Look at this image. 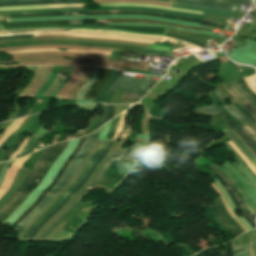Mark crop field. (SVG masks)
<instances>
[{"mask_svg":"<svg viewBox=\"0 0 256 256\" xmlns=\"http://www.w3.org/2000/svg\"><path fill=\"white\" fill-rule=\"evenodd\" d=\"M101 128L97 132L94 140L92 133L89 135L87 141L83 145V147L80 149L77 156L74 158V160L70 163L68 169L66 170L65 174L61 178V180L55 185V187L49 192V194L40 202V204L23 220L21 221L15 229L22 231L23 228L32 221L47 205L51 203L55 195L69 182V180L72 178L80 164L82 163L83 159L85 158L86 154L92 149V147L95 145L97 137L99 135Z\"/></svg>","mask_w":256,"mask_h":256,"instance_id":"crop-field-1","label":"crop field"},{"mask_svg":"<svg viewBox=\"0 0 256 256\" xmlns=\"http://www.w3.org/2000/svg\"><path fill=\"white\" fill-rule=\"evenodd\" d=\"M68 142V141H67ZM65 143H59L49 152L44 161L41 163L37 171L35 172L32 180L19 194V196L0 214V221L4 222L5 219L27 198V196L34 190V188L43 179L50 165L56 160L60 153L66 147Z\"/></svg>","mask_w":256,"mask_h":256,"instance_id":"crop-field-2","label":"crop field"},{"mask_svg":"<svg viewBox=\"0 0 256 256\" xmlns=\"http://www.w3.org/2000/svg\"><path fill=\"white\" fill-rule=\"evenodd\" d=\"M102 14H142V15H151V16H158L176 20H183L189 22H196L200 23V25L217 27V28H225L226 24L217 23V22H210L198 19H191V18H184V17H177V16H169V15H162V14H155V13H147V12H131V11H107V12H75V13H47V14H17V15H3L0 16V23L10 22L9 18H20V17H33V16H58V15H102Z\"/></svg>","mask_w":256,"mask_h":256,"instance_id":"crop-field-3","label":"crop field"},{"mask_svg":"<svg viewBox=\"0 0 256 256\" xmlns=\"http://www.w3.org/2000/svg\"><path fill=\"white\" fill-rule=\"evenodd\" d=\"M130 132H124L122 139L115 151V153L111 156V158L108 160L104 168L101 170V172L98 174L96 179L87 187V189L43 232V234L39 238H44L65 216L66 214L72 210L75 205L85 197V195L92 189L94 188L99 181L101 180L102 176L104 173L107 171V169L110 167V165L113 163L114 160L120 161L128 152V150L121 149L125 140L129 136Z\"/></svg>","mask_w":256,"mask_h":256,"instance_id":"crop-field-4","label":"crop field"},{"mask_svg":"<svg viewBox=\"0 0 256 256\" xmlns=\"http://www.w3.org/2000/svg\"><path fill=\"white\" fill-rule=\"evenodd\" d=\"M119 119H120V115H118L116 118H114V125L112 127V129L109 131L105 142H102L101 146L98 148V150L94 153V155L92 156V158L90 159V161L88 162V164L86 165V167L84 168V170L82 171V173L79 175V177L75 180V182L65 191V193L59 198V200L52 206V208L46 213L44 214L35 224H33L29 230L24 234L23 238H27L28 235L31 233V231L41 222L43 221L57 206L58 204L68 195V193L79 183V181L82 179V177L85 175V173L88 171V169L90 168V166L93 164V162L96 160V158L98 157V155L101 153V151L105 148L108 140H112L113 135L119 125Z\"/></svg>","mask_w":256,"mask_h":256,"instance_id":"crop-field-5","label":"crop field"},{"mask_svg":"<svg viewBox=\"0 0 256 256\" xmlns=\"http://www.w3.org/2000/svg\"><path fill=\"white\" fill-rule=\"evenodd\" d=\"M113 141H109L106 148L103 150V152L99 155L95 163L92 165V167L89 169V171L86 173L84 178L81 180V182L69 193V195L60 203V205L42 222L40 223L31 233L29 238H33L34 235L38 232V230L56 213L58 212L71 198L72 196L79 190V188L84 185V183L87 181V179L90 177L96 166L99 164V162L104 158L107 151L110 149Z\"/></svg>","mask_w":256,"mask_h":256,"instance_id":"crop-field-6","label":"crop field"},{"mask_svg":"<svg viewBox=\"0 0 256 256\" xmlns=\"http://www.w3.org/2000/svg\"><path fill=\"white\" fill-rule=\"evenodd\" d=\"M213 167L220 169L222 172L226 173V175L228 176V178L231 180V182L234 184V186L236 187V189L240 192L242 199L244 200L247 208L249 209V211L253 214V216H255L256 213V204L253 201V199L251 198L250 194L248 193V191L245 189V187L242 185V183L239 181V179L236 177V175L233 173V171L224 166L223 168H219L213 164H211Z\"/></svg>","mask_w":256,"mask_h":256,"instance_id":"crop-field-7","label":"crop field"},{"mask_svg":"<svg viewBox=\"0 0 256 256\" xmlns=\"http://www.w3.org/2000/svg\"><path fill=\"white\" fill-rule=\"evenodd\" d=\"M85 140V137L81 138L78 145L76 146V148L73 150V152L71 153V155L69 156V158L67 159V161L64 163V165L61 167V169L59 170V172L57 173V175L55 176V178L53 179V181L51 182V184L49 185V187L44 190L42 192V194L39 196V198L36 200L35 204L30 207L27 211H25L19 218L18 220L12 225V227H14L15 225H17V223L19 221H21L25 216H27L31 211L32 209L44 198V196L48 193V191L52 188V186L54 184L57 183L58 179L60 178V176L62 175V173L65 171L66 167L68 166L69 162L71 161L72 157L76 154L77 150L81 147V145L83 144Z\"/></svg>","mask_w":256,"mask_h":256,"instance_id":"crop-field-8","label":"crop field"},{"mask_svg":"<svg viewBox=\"0 0 256 256\" xmlns=\"http://www.w3.org/2000/svg\"><path fill=\"white\" fill-rule=\"evenodd\" d=\"M44 36H63V37H85V38H98V39H109V40H119L128 42H138L152 44L155 41L132 39L118 36H107V35H94V34H81V33H63V34H35L34 37H44Z\"/></svg>","mask_w":256,"mask_h":256,"instance_id":"crop-field-9","label":"crop field"},{"mask_svg":"<svg viewBox=\"0 0 256 256\" xmlns=\"http://www.w3.org/2000/svg\"><path fill=\"white\" fill-rule=\"evenodd\" d=\"M120 74H121V71L113 70L109 80L102 87V89L99 91L98 95L94 99V104H110L111 101H109V99L114 91L109 89L112 86V84L115 82V80L120 76Z\"/></svg>","mask_w":256,"mask_h":256,"instance_id":"crop-field-10","label":"crop field"},{"mask_svg":"<svg viewBox=\"0 0 256 256\" xmlns=\"http://www.w3.org/2000/svg\"><path fill=\"white\" fill-rule=\"evenodd\" d=\"M28 157H29V155L22 159L14 161V163L8 168L6 176L4 178V181L0 187V198L10 188L11 183H12L18 169L23 165V163L26 161V159Z\"/></svg>","mask_w":256,"mask_h":256,"instance_id":"crop-field-11","label":"crop field"},{"mask_svg":"<svg viewBox=\"0 0 256 256\" xmlns=\"http://www.w3.org/2000/svg\"><path fill=\"white\" fill-rule=\"evenodd\" d=\"M222 115L225 116L230 129L240 137V139L247 146V148L256 156V144L243 132V130L234 121L228 119L227 115H225L224 113L213 116L212 118L214 119Z\"/></svg>","mask_w":256,"mask_h":256,"instance_id":"crop-field-12","label":"crop field"},{"mask_svg":"<svg viewBox=\"0 0 256 256\" xmlns=\"http://www.w3.org/2000/svg\"><path fill=\"white\" fill-rule=\"evenodd\" d=\"M112 70L102 68L97 81L89 88L83 100L93 99L104 83L108 80Z\"/></svg>","mask_w":256,"mask_h":256,"instance_id":"crop-field-13","label":"crop field"},{"mask_svg":"<svg viewBox=\"0 0 256 256\" xmlns=\"http://www.w3.org/2000/svg\"><path fill=\"white\" fill-rule=\"evenodd\" d=\"M215 93L218 95V97L224 102V98L221 96V94L217 91V89L215 88ZM225 103V102H224ZM224 108H226L229 112H231L233 115H235L238 120L243 123L246 128L250 131V133L256 138V127L254 126V124L246 117L244 116L238 109H236L233 105L229 106L230 108H232L233 110H231L230 108H228L227 106H223Z\"/></svg>","mask_w":256,"mask_h":256,"instance_id":"crop-field-14","label":"crop field"},{"mask_svg":"<svg viewBox=\"0 0 256 256\" xmlns=\"http://www.w3.org/2000/svg\"><path fill=\"white\" fill-rule=\"evenodd\" d=\"M101 23H142V24H158V25L176 26V27L186 28V29H195V30L210 31V30H208V29L187 27V26L174 25V24H168V23H161V22H155V21H151V20L113 19V20L96 21L95 24H101Z\"/></svg>","mask_w":256,"mask_h":256,"instance_id":"crop-field-15","label":"crop field"},{"mask_svg":"<svg viewBox=\"0 0 256 256\" xmlns=\"http://www.w3.org/2000/svg\"><path fill=\"white\" fill-rule=\"evenodd\" d=\"M53 146H50L47 148V150L43 153V155L40 157V159L38 160L36 166L32 169V171L28 174V176L26 177L25 181L23 182V184L18 188L17 192L15 194H13L9 200L0 208V213L16 198V196L19 194L20 191L23 190V188L27 185V183L30 181L31 176L33 175V173L35 172V170L38 168V166L40 165V163L42 162V160L45 158V156L47 155V153L49 152V150L52 148Z\"/></svg>","mask_w":256,"mask_h":256,"instance_id":"crop-field-16","label":"crop field"},{"mask_svg":"<svg viewBox=\"0 0 256 256\" xmlns=\"http://www.w3.org/2000/svg\"><path fill=\"white\" fill-rule=\"evenodd\" d=\"M38 52H62L57 49H37V50H26V51H9L7 54H22V53H38ZM69 53H90V54H102L109 55L110 52L104 51H91V50H67Z\"/></svg>","mask_w":256,"mask_h":256,"instance_id":"crop-field-17","label":"crop field"},{"mask_svg":"<svg viewBox=\"0 0 256 256\" xmlns=\"http://www.w3.org/2000/svg\"><path fill=\"white\" fill-rule=\"evenodd\" d=\"M115 83L123 84V85L142 86V87L149 88L153 83H155V81L140 79V78L120 76Z\"/></svg>","mask_w":256,"mask_h":256,"instance_id":"crop-field-18","label":"crop field"},{"mask_svg":"<svg viewBox=\"0 0 256 256\" xmlns=\"http://www.w3.org/2000/svg\"><path fill=\"white\" fill-rule=\"evenodd\" d=\"M44 125L45 124H42L39 127V129L34 133L33 137L31 136L32 138L30 139V141L28 142L26 148L23 150V152L21 153L20 156H23V155L33 151L34 148L37 146L38 142L40 141V139L48 132L47 130L43 129Z\"/></svg>","mask_w":256,"mask_h":256,"instance_id":"crop-field-19","label":"crop field"},{"mask_svg":"<svg viewBox=\"0 0 256 256\" xmlns=\"http://www.w3.org/2000/svg\"><path fill=\"white\" fill-rule=\"evenodd\" d=\"M209 98L213 101L214 105L219 107L224 113H226L228 116H230L247 134L248 136L256 143L255 138L249 133V131L234 117L232 114H230L227 110H225L222 106L224 105L223 102L215 95V93H211L208 95ZM220 103L221 106L218 104Z\"/></svg>","mask_w":256,"mask_h":256,"instance_id":"crop-field-20","label":"crop field"},{"mask_svg":"<svg viewBox=\"0 0 256 256\" xmlns=\"http://www.w3.org/2000/svg\"><path fill=\"white\" fill-rule=\"evenodd\" d=\"M211 207V206H210ZM215 209L217 210V212L219 213V215L221 216V218L223 219V221L226 223V225L238 236L240 235L237 230L225 219L224 215L222 214L216 200H215ZM214 207H211L216 219L219 221V223L224 226L233 236L234 238L237 237L222 221V219L220 218V216L218 215V213L216 212V210L214 209Z\"/></svg>","mask_w":256,"mask_h":256,"instance_id":"crop-field-21","label":"crop field"},{"mask_svg":"<svg viewBox=\"0 0 256 256\" xmlns=\"http://www.w3.org/2000/svg\"><path fill=\"white\" fill-rule=\"evenodd\" d=\"M59 3H84L80 0H52V1H38V2H24V3H7L0 4V7L17 6V5H33V4H59Z\"/></svg>","mask_w":256,"mask_h":256,"instance_id":"crop-field-22","label":"crop field"},{"mask_svg":"<svg viewBox=\"0 0 256 256\" xmlns=\"http://www.w3.org/2000/svg\"><path fill=\"white\" fill-rule=\"evenodd\" d=\"M230 87L243 98L245 101H247L252 107L256 109V100L250 96L246 91H244L240 84L237 82L229 84Z\"/></svg>","mask_w":256,"mask_h":256,"instance_id":"crop-field-23","label":"crop field"},{"mask_svg":"<svg viewBox=\"0 0 256 256\" xmlns=\"http://www.w3.org/2000/svg\"><path fill=\"white\" fill-rule=\"evenodd\" d=\"M71 32L119 35V36L133 37V38L151 39V40H159L160 39V37H155V36L134 35V34H126V33H120V32H91V31H83V30H75V31H71Z\"/></svg>","mask_w":256,"mask_h":256,"instance_id":"crop-field-24","label":"crop field"},{"mask_svg":"<svg viewBox=\"0 0 256 256\" xmlns=\"http://www.w3.org/2000/svg\"><path fill=\"white\" fill-rule=\"evenodd\" d=\"M226 245H227L228 249L223 254H221L218 247H215V248L205 249L195 256H232V249H231L230 242L227 243Z\"/></svg>","mask_w":256,"mask_h":256,"instance_id":"crop-field-25","label":"crop field"},{"mask_svg":"<svg viewBox=\"0 0 256 256\" xmlns=\"http://www.w3.org/2000/svg\"><path fill=\"white\" fill-rule=\"evenodd\" d=\"M212 175L220 182V184L225 188V190H226V191L228 192V194L231 196V198H232V200H233L235 206L237 207V209L242 210V208H241L240 205L238 204V202H237V200H236L234 194L232 193L231 189L229 188V186H228V185L223 181V179H222L220 176H218L217 174L213 173ZM242 211H243V210H242ZM244 214H245L244 218L247 219V220L250 222V224L252 225L253 229L256 228V226H255V224L253 223V221L246 215V213H244Z\"/></svg>","mask_w":256,"mask_h":256,"instance_id":"crop-field-26","label":"crop field"},{"mask_svg":"<svg viewBox=\"0 0 256 256\" xmlns=\"http://www.w3.org/2000/svg\"><path fill=\"white\" fill-rule=\"evenodd\" d=\"M209 169L213 170L214 172H216L217 174H219L226 183H228L231 187V189L233 190L237 200L239 201V203L241 204L242 208L246 211V213L248 214V216L254 221V217L252 216V214L247 210V208L245 207L241 197L239 196L237 190L235 189V187L232 185V183L229 181L228 178H226L225 176H223L218 170L214 169L212 166H208Z\"/></svg>","mask_w":256,"mask_h":256,"instance_id":"crop-field-27","label":"crop field"},{"mask_svg":"<svg viewBox=\"0 0 256 256\" xmlns=\"http://www.w3.org/2000/svg\"><path fill=\"white\" fill-rule=\"evenodd\" d=\"M176 2L177 3H183V4H191V5H198V6L220 8V9H228V10H231V7H232V5H228V4H219V3H211V2H207V4L192 2V1H183V0H176Z\"/></svg>","mask_w":256,"mask_h":256,"instance_id":"crop-field-28","label":"crop field"},{"mask_svg":"<svg viewBox=\"0 0 256 256\" xmlns=\"http://www.w3.org/2000/svg\"><path fill=\"white\" fill-rule=\"evenodd\" d=\"M95 3H111V2H132V3H152L158 5L170 6L171 3L159 2V1H149V0H94Z\"/></svg>","mask_w":256,"mask_h":256,"instance_id":"crop-field-29","label":"crop field"},{"mask_svg":"<svg viewBox=\"0 0 256 256\" xmlns=\"http://www.w3.org/2000/svg\"><path fill=\"white\" fill-rule=\"evenodd\" d=\"M249 238L248 254L249 256H256V229L247 232Z\"/></svg>","mask_w":256,"mask_h":256,"instance_id":"crop-field-30","label":"crop field"},{"mask_svg":"<svg viewBox=\"0 0 256 256\" xmlns=\"http://www.w3.org/2000/svg\"><path fill=\"white\" fill-rule=\"evenodd\" d=\"M194 112L197 114H200V115H204V116H212V115L220 113L222 111L219 108H217L216 106L212 105V106L204 107V108H196Z\"/></svg>","mask_w":256,"mask_h":256,"instance_id":"crop-field-31","label":"crop field"},{"mask_svg":"<svg viewBox=\"0 0 256 256\" xmlns=\"http://www.w3.org/2000/svg\"><path fill=\"white\" fill-rule=\"evenodd\" d=\"M60 67L61 66H55L54 67L51 76L46 81V83L42 86V88L38 91V93L36 94L35 98H39L44 93V91L49 87V85L53 82L54 78L57 76Z\"/></svg>","mask_w":256,"mask_h":256,"instance_id":"crop-field-32","label":"crop field"},{"mask_svg":"<svg viewBox=\"0 0 256 256\" xmlns=\"http://www.w3.org/2000/svg\"><path fill=\"white\" fill-rule=\"evenodd\" d=\"M211 186L213 187V189H214L215 191H217V192L220 194L221 199H222V201H223V203H224V205H225V207H226L228 213L230 214V216L244 229L245 232L249 231V230L239 221V219L233 214V212H232L230 206L228 205V203L226 202L224 196L222 195V193H220L221 191L219 192V190L217 189V187L215 186V184H211Z\"/></svg>","mask_w":256,"mask_h":256,"instance_id":"crop-field-33","label":"crop field"},{"mask_svg":"<svg viewBox=\"0 0 256 256\" xmlns=\"http://www.w3.org/2000/svg\"><path fill=\"white\" fill-rule=\"evenodd\" d=\"M111 89L120 90V91H129V92H135V93H141V94H144L145 91L147 90L146 88L123 86V85H117V84H113Z\"/></svg>","mask_w":256,"mask_h":256,"instance_id":"crop-field-34","label":"crop field"},{"mask_svg":"<svg viewBox=\"0 0 256 256\" xmlns=\"http://www.w3.org/2000/svg\"><path fill=\"white\" fill-rule=\"evenodd\" d=\"M65 79V77L57 76L54 82L50 85V87L45 91L42 96H51L55 89L60 85V83Z\"/></svg>","mask_w":256,"mask_h":256,"instance_id":"crop-field-35","label":"crop field"},{"mask_svg":"<svg viewBox=\"0 0 256 256\" xmlns=\"http://www.w3.org/2000/svg\"><path fill=\"white\" fill-rule=\"evenodd\" d=\"M216 200H217L222 212L224 213L226 219L234 224V227L239 231L240 234L244 233V231L240 228V226L229 216V214L225 210V208L220 200V197L217 198Z\"/></svg>","mask_w":256,"mask_h":256,"instance_id":"crop-field-36","label":"crop field"},{"mask_svg":"<svg viewBox=\"0 0 256 256\" xmlns=\"http://www.w3.org/2000/svg\"><path fill=\"white\" fill-rule=\"evenodd\" d=\"M114 108L115 106H104L102 124L113 118Z\"/></svg>","mask_w":256,"mask_h":256,"instance_id":"crop-field-37","label":"crop field"},{"mask_svg":"<svg viewBox=\"0 0 256 256\" xmlns=\"http://www.w3.org/2000/svg\"><path fill=\"white\" fill-rule=\"evenodd\" d=\"M198 2L211 1V2H221V3H231V4H250V0H192Z\"/></svg>","mask_w":256,"mask_h":256,"instance_id":"crop-field-38","label":"crop field"},{"mask_svg":"<svg viewBox=\"0 0 256 256\" xmlns=\"http://www.w3.org/2000/svg\"><path fill=\"white\" fill-rule=\"evenodd\" d=\"M231 146L236 150V152L241 156V158L246 162V164L251 168V170L256 174V169L252 166V164L247 160V158L242 154V152L238 149V147L233 143L232 140L228 141Z\"/></svg>","mask_w":256,"mask_h":256,"instance_id":"crop-field-39","label":"crop field"},{"mask_svg":"<svg viewBox=\"0 0 256 256\" xmlns=\"http://www.w3.org/2000/svg\"><path fill=\"white\" fill-rule=\"evenodd\" d=\"M144 95L141 94H133L125 92L122 98V101L130 100V101H139Z\"/></svg>","mask_w":256,"mask_h":256,"instance_id":"crop-field-40","label":"crop field"},{"mask_svg":"<svg viewBox=\"0 0 256 256\" xmlns=\"http://www.w3.org/2000/svg\"><path fill=\"white\" fill-rule=\"evenodd\" d=\"M233 254L243 250V241L240 236L238 239L232 241Z\"/></svg>","mask_w":256,"mask_h":256,"instance_id":"crop-field-41","label":"crop field"},{"mask_svg":"<svg viewBox=\"0 0 256 256\" xmlns=\"http://www.w3.org/2000/svg\"><path fill=\"white\" fill-rule=\"evenodd\" d=\"M165 36H167V37H172V38H176V39H179V40H182V41H185V42H188V43L197 45V46H199V47H201V46H203V45L206 44V43H203V42L194 40V39L182 38V37L172 36V35H168V34H166Z\"/></svg>","mask_w":256,"mask_h":256,"instance_id":"crop-field-42","label":"crop field"},{"mask_svg":"<svg viewBox=\"0 0 256 256\" xmlns=\"http://www.w3.org/2000/svg\"><path fill=\"white\" fill-rule=\"evenodd\" d=\"M228 147V149L235 155V157L242 163V165L247 169V171L256 179V176L253 174V172L249 169V167L244 163V161L239 157V155L234 151V149L229 145V143H225Z\"/></svg>","mask_w":256,"mask_h":256,"instance_id":"crop-field-43","label":"crop field"},{"mask_svg":"<svg viewBox=\"0 0 256 256\" xmlns=\"http://www.w3.org/2000/svg\"><path fill=\"white\" fill-rule=\"evenodd\" d=\"M224 86L227 88V90L233 96H235L243 105H245L247 108H249L256 115V110L254 108H252L248 103H246L244 100H242L227 84Z\"/></svg>","mask_w":256,"mask_h":256,"instance_id":"crop-field-44","label":"crop field"},{"mask_svg":"<svg viewBox=\"0 0 256 256\" xmlns=\"http://www.w3.org/2000/svg\"><path fill=\"white\" fill-rule=\"evenodd\" d=\"M25 137H21V139L18 141V143L14 146V147H12L7 153H6V155H5V157H4V159H3V161H6V160H8L9 159V157L14 153V151L20 146V144L22 143V141H23V139H24Z\"/></svg>","mask_w":256,"mask_h":256,"instance_id":"crop-field-45","label":"crop field"},{"mask_svg":"<svg viewBox=\"0 0 256 256\" xmlns=\"http://www.w3.org/2000/svg\"><path fill=\"white\" fill-rule=\"evenodd\" d=\"M29 137L25 139V141L22 143V145L15 151V153L11 156V159H15L23 150V148L25 147L27 141H28Z\"/></svg>","mask_w":256,"mask_h":256,"instance_id":"crop-field-46","label":"crop field"},{"mask_svg":"<svg viewBox=\"0 0 256 256\" xmlns=\"http://www.w3.org/2000/svg\"><path fill=\"white\" fill-rule=\"evenodd\" d=\"M236 108H238L244 115H246L253 123H255L256 121L251 117V115L249 113H247L243 108H241L238 104H236L235 102L232 103Z\"/></svg>","mask_w":256,"mask_h":256,"instance_id":"crop-field-47","label":"crop field"},{"mask_svg":"<svg viewBox=\"0 0 256 256\" xmlns=\"http://www.w3.org/2000/svg\"><path fill=\"white\" fill-rule=\"evenodd\" d=\"M234 164L237 166L238 171L240 172V174L243 176V178L245 179V181H247L250 186L252 187V189L254 190V192L256 193V188L255 186L249 181V179L244 175V173L241 171V169L238 167V165L234 162Z\"/></svg>","mask_w":256,"mask_h":256,"instance_id":"crop-field-48","label":"crop field"},{"mask_svg":"<svg viewBox=\"0 0 256 256\" xmlns=\"http://www.w3.org/2000/svg\"><path fill=\"white\" fill-rule=\"evenodd\" d=\"M72 68L73 67H71L70 68V71H69V73H68V75H67V78L63 81V83L56 89V91H55V93H54V95H53V97H55V95L58 93V91L62 88V86L66 83V81L68 80V78H69V76H70V73H71V71H72Z\"/></svg>","mask_w":256,"mask_h":256,"instance_id":"crop-field-49","label":"crop field"},{"mask_svg":"<svg viewBox=\"0 0 256 256\" xmlns=\"http://www.w3.org/2000/svg\"><path fill=\"white\" fill-rule=\"evenodd\" d=\"M31 36L32 35H17V36L0 37V39L27 38Z\"/></svg>","mask_w":256,"mask_h":256,"instance_id":"crop-field-50","label":"crop field"},{"mask_svg":"<svg viewBox=\"0 0 256 256\" xmlns=\"http://www.w3.org/2000/svg\"><path fill=\"white\" fill-rule=\"evenodd\" d=\"M14 138V136L10 135L8 139L0 146V153L2 152V149L8 145V143Z\"/></svg>","mask_w":256,"mask_h":256,"instance_id":"crop-field-51","label":"crop field"},{"mask_svg":"<svg viewBox=\"0 0 256 256\" xmlns=\"http://www.w3.org/2000/svg\"><path fill=\"white\" fill-rule=\"evenodd\" d=\"M238 82L242 85V87H243L250 95H252V96L256 99V95L253 94V93L249 90V88L243 83L242 80H240V81H238Z\"/></svg>","mask_w":256,"mask_h":256,"instance_id":"crop-field-52","label":"crop field"},{"mask_svg":"<svg viewBox=\"0 0 256 256\" xmlns=\"http://www.w3.org/2000/svg\"><path fill=\"white\" fill-rule=\"evenodd\" d=\"M28 109H25V108H20L18 114L16 117H20V116H24L26 114Z\"/></svg>","mask_w":256,"mask_h":256,"instance_id":"crop-field-53","label":"crop field"},{"mask_svg":"<svg viewBox=\"0 0 256 256\" xmlns=\"http://www.w3.org/2000/svg\"><path fill=\"white\" fill-rule=\"evenodd\" d=\"M236 103H238L241 107H243L246 111H248L253 116V118L256 120V116L250 110H248L245 106H243L239 101H236Z\"/></svg>","mask_w":256,"mask_h":256,"instance_id":"crop-field-54","label":"crop field"},{"mask_svg":"<svg viewBox=\"0 0 256 256\" xmlns=\"http://www.w3.org/2000/svg\"><path fill=\"white\" fill-rule=\"evenodd\" d=\"M17 1H35V0H0V3H2V2H17Z\"/></svg>","mask_w":256,"mask_h":256,"instance_id":"crop-field-55","label":"crop field"},{"mask_svg":"<svg viewBox=\"0 0 256 256\" xmlns=\"http://www.w3.org/2000/svg\"><path fill=\"white\" fill-rule=\"evenodd\" d=\"M160 1H168L169 2V0H160Z\"/></svg>","mask_w":256,"mask_h":256,"instance_id":"crop-field-56","label":"crop field"},{"mask_svg":"<svg viewBox=\"0 0 256 256\" xmlns=\"http://www.w3.org/2000/svg\"><path fill=\"white\" fill-rule=\"evenodd\" d=\"M3 124H0V126H2Z\"/></svg>","mask_w":256,"mask_h":256,"instance_id":"crop-field-57","label":"crop field"}]
</instances>
